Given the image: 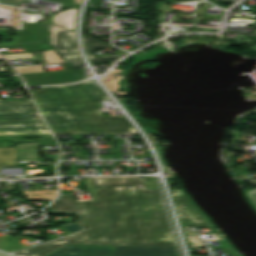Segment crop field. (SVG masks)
<instances>
[{
    "label": "crop field",
    "instance_id": "1",
    "mask_svg": "<svg viewBox=\"0 0 256 256\" xmlns=\"http://www.w3.org/2000/svg\"><path fill=\"white\" fill-rule=\"evenodd\" d=\"M96 201L76 213L75 224L85 228L58 240L16 253L42 256L65 243L177 246L170 231L159 190L139 186L95 189Z\"/></svg>",
    "mask_w": 256,
    "mask_h": 256
},
{
    "label": "crop field",
    "instance_id": "2",
    "mask_svg": "<svg viewBox=\"0 0 256 256\" xmlns=\"http://www.w3.org/2000/svg\"><path fill=\"white\" fill-rule=\"evenodd\" d=\"M41 90L29 89L54 134L137 133L124 116H102L95 101L109 98L90 80Z\"/></svg>",
    "mask_w": 256,
    "mask_h": 256
},
{
    "label": "crop field",
    "instance_id": "3",
    "mask_svg": "<svg viewBox=\"0 0 256 256\" xmlns=\"http://www.w3.org/2000/svg\"><path fill=\"white\" fill-rule=\"evenodd\" d=\"M50 134L32 100L0 101V135Z\"/></svg>",
    "mask_w": 256,
    "mask_h": 256
},
{
    "label": "crop field",
    "instance_id": "4",
    "mask_svg": "<svg viewBox=\"0 0 256 256\" xmlns=\"http://www.w3.org/2000/svg\"><path fill=\"white\" fill-rule=\"evenodd\" d=\"M45 256H180L177 247L65 244Z\"/></svg>",
    "mask_w": 256,
    "mask_h": 256
},
{
    "label": "crop field",
    "instance_id": "5",
    "mask_svg": "<svg viewBox=\"0 0 256 256\" xmlns=\"http://www.w3.org/2000/svg\"><path fill=\"white\" fill-rule=\"evenodd\" d=\"M49 23H26L19 31L18 45L0 46V48L24 46L26 52L52 50L48 41Z\"/></svg>",
    "mask_w": 256,
    "mask_h": 256
},
{
    "label": "crop field",
    "instance_id": "6",
    "mask_svg": "<svg viewBox=\"0 0 256 256\" xmlns=\"http://www.w3.org/2000/svg\"><path fill=\"white\" fill-rule=\"evenodd\" d=\"M182 227L212 226L207 218L183 195L181 190H170Z\"/></svg>",
    "mask_w": 256,
    "mask_h": 256
},
{
    "label": "crop field",
    "instance_id": "7",
    "mask_svg": "<svg viewBox=\"0 0 256 256\" xmlns=\"http://www.w3.org/2000/svg\"><path fill=\"white\" fill-rule=\"evenodd\" d=\"M49 43L65 61L80 59L74 32L50 24Z\"/></svg>",
    "mask_w": 256,
    "mask_h": 256
},
{
    "label": "crop field",
    "instance_id": "8",
    "mask_svg": "<svg viewBox=\"0 0 256 256\" xmlns=\"http://www.w3.org/2000/svg\"><path fill=\"white\" fill-rule=\"evenodd\" d=\"M46 73V75H42ZM33 74H21L26 84L45 85V84H60L68 82H76L84 78L82 69L72 71H56V72H43ZM78 73V75H75Z\"/></svg>",
    "mask_w": 256,
    "mask_h": 256
},
{
    "label": "crop field",
    "instance_id": "9",
    "mask_svg": "<svg viewBox=\"0 0 256 256\" xmlns=\"http://www.w3.org/2000/svg\"><path fill=\"white\" fill-rule=\"evenodd\" d=\"M84 182L89 192L93 195V201H95L92 178H87L86 180H84ZM91 202H76L73 198V195H67L59 196L58 200L55 203L49 205V207L52 208L54 211L59 212H76L81 208L85 207L86 205L90 204Z\"/></svg>",
    "mask_w": 256,
    "mask_h": 256
},
{
    "label": "crop field",
    "instance_id": "10",
    "mask_svg": "<svg viewBox=\"0 0 256 256\" xmlns=\"http://www.w3.org/2000/svg\"><path fill=\"white\" fill-rule=\"evenodd\" d=\"M98 185L143 184L141 177L133 178H97Z\"/></svg>",
    "mask_w": 256,
    "mask_h": 256
},
{
    "label": "crop field",
    "instance_id": "11",
    "mask_svg": "<svg viewBox=\"0 0 256 256\" xmlns=\"http://www.w3.org/2000/svg\"><path fill=\"white\" fill-rule=\"evenodd\" d=\"M83 42H84V47L86 50V53L88 56H94L92 51L98 48H111L112 46L110 44L92 39L90 37L87 36H83Z\"/></svg>",
    "mask_w": 256,
    "mask_h": 256
},
{
    "label": "crop field",
    "instance_id": "12",
    "mask_svg": "<svg viewBox=\"0 0 256 256\" xmlns=\"http://www.w3.org/2000/svg\"><path fill=\"white\" fill-rule=\"evenodd\" d=\"M188 246H204L189 228H183Z\"/></svg>",
    "mask_w": 256,
    "mask_h": 256
},
{
    "label": "crop field",
    "instance_id": "13",
    "mask_svg": "<svg viewBox=\"0 0 256 256\" xmlns=\"http://www.w3.org/2000/svg\"><path fill=\"white\" fill-rule=\"evenodd\" d=\"M20 73L43 72L41 66L17 68Z\"/></svg>",
    "mask_w": 256,
    "mask_h": 256
},
{
    "label": "crop field",
    "instance_id": "14",
    "mask_svg": "<svg viewBox=\"0 0 256 256\" xmlns=\"http://www.w3.org/2000/svg\"><path fill=\"white\" fill-rule=\"evenodd\" d=\"M4 57L8 60L31 58L30 53L5 55Z\"/></svg>",
    "mask_w": 256,
    "mask_h": 256
},
{
    "label": "crop field",
    "instance_id": "15",
    "mask_svg": "<svg viewBox=\"0 0 256 256\" xmlns=\"http://www.w3.org/2000/svg\"><path fill=\"white\" fill-rule=\"evenodd\" d=\"M67 69L71 70V69H79L82 68V63L80 60L77 61H69V62H65Z\"/></svg>",
    "mask_w": 256,
    "mask_h": 256
},
{
    "label": "crop field",
    "instance_id": "16",
    "mask_svg": "<svg viewBox=\"0 0 256 256\" xmlns=\"http://www.w3.org/2000/svg\"><path fill=\"white\" fill-rule=\"evenodd\" d=\"M246 195L252 205L256 208V188L246 192Z\"/></svg>",
    "mask_w": 256,
    "mask_h": 256
},
{
    "label": "crop field",
    "instance_id": "17",
    "mask_svg": "<svg viewBox=\"0 0 256 256\" xmlns=\"http://www.w3.org/2000/svg\"><path fill=\"white\" fill-rule=\"evenodd\" d=\"M8 236L0 238V248L3 247L5 241L7 240Z\"/></svg>",
    "mask_w": 256,
    "mask_h": 256
},
{
    "label": "crop field",
    "instance_id": "18",
    "mask_svg": "<svg viewBox=\"0 0 256 256\" xmlns=\"http://www.w3.org/2000/svg\"><path fill=\"white\" fill-rule=\"evenodd\" d=\"M97 1L98 0H90L89 1V7H95Z\"/></svg>",
    "mask_w": 256,
    "mask_h": 256
},
{
    "label": "crop field",
    "instance_id": "19",
    "mask_svg": "<svg viewBox=\"0 0 256 256\" xmlns=\"http://www.w3.org/2000/svg\"><path fill=\"white\" fill-rule=\"evenodd\" d=\"M0 256H8V255H6V254H4V253H0Z\"/></svg>",
    "mask_w": 256,
    "mask_h": 256
},
{
    "label": "crop field",
    "instance_id": "20",
    "mask_svg": "<svg viewBox=\"0 0 256 256\" xmlns=\"http://www.w3.org/2000/svg\"><path fill=\"white\" fill-rule=\"evenodd\" d=\"M0 59H3V58L0 57Z\"/></svg>",
    "mask_w": 256,
    "mask_h": 256
}]
</instances>
